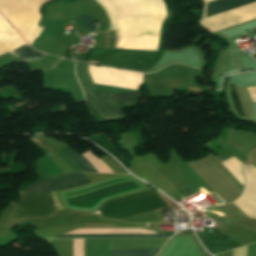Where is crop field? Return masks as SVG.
<instances>
[{"label":"crop field","instance_id":"8a807250","mask_svg":"<svg viewBox=\"0 0 256 256\" xmlns=\"http://www.w3.org/2000/svg\"><path fill=\"white\" fill-rule=\"evenodd\" d=\"M110 28L117 30L116 48L155 50L165 12L160 0H96Z\"/></svg>","mask_w":256,"mask_h":256},{"label":"crop field","instance_id":"ac0d7876","mask_svg":"<svg viewBox=\"0 0 256 256\" xmlns=\"http://www.w3.org/2000/svg\"><path fill=\"white\" fill-rule=\"evenodd\" d=\"M164 206H167L165 201L151 189L112 200L103 204L95 213L106 218L120 219Z\"/></svg>","mask_w":256,"mask_h":256},{"label":"crop field","instance_id":"34b2d1b8","mask_svg":"<svg viewBox=\"0 0 256 256\" xmlns=\"http://www.w3.org/2000/svg\"><path fill=\"white\" fill-rule=\"evenodd\" d=\"M19 205L11 215L12 218L22 216H43L61 210L54 192L47 194L19 192Z\"/></svg>","mask_w":256,"mask_h":256},{"label":"crop field","instance_id":"412701ff","mask_svg":"<svg viewBox=\"0 0 256 256\" xmlns=\"http://www.w3.org/2000/svg\"><path fill=\"white\" fill-rule=\"evenodd\" d=\"M93 83L138 89L143 74L88 65Z\"/></svg>","mask_w":256,"mask_h":256},{"label":"crop field","instance_id":"f4fd0767","mask_svg":"<svg viewBox=\"0 0 256 256\" xmlns=\"http://www.w3.org/2000/svg\"><path fill=\"white\" fill-rule=\"evenodd\" d=\"M90 183L83 173L65 174L53 178H42L25 188L24 191L44 193L55 188L70 189L79 185Z\"/></svg>","mask_w":256,"mask_h":256},{"label":"crop field","instance_id":"dd49c442","mask_svg":"<svg viewBox=\"0 0 256 256\" xmlns=\"http://www.w3.org/2000/svg\"><path fill=\"white\" fill-rule=\"evenodd\" d=\"M243 173L246 179L244 193L234 204L248 217L256 218V168L244 165Z\"/></svg>","mask_w":256,"mask_h":256},{"label":"crop field","instance_id":"e52e79f7","mask_svg":"<svg viewBox=\"0 0 256 256\" xmlns=\"http://www.w3.org/2000/svg\"><path fill=\"white\" fill-rule=\"evenodd\" d=\"M85 94V99L87 104L93 109V111L102 119H113L125 116L123 112L104 94L100 92H95V95L101 100V102L112 112H111L100 102V100L93 94L92 91L83 90Z\"/></svg>","mask_w":256,"mask_h":256},{"label":"crop field","instance_id":"d8731c3e","mask_svg":"<svg viewBox=\"0 0 256 256\" xmlns=\"http://www.w3.org/2000/svg\"><path fill=\"white\" fill-rule=\"evenodd\" d=\"M255 1L256 0H214L207 3L206 17Z\"/></svg>","mask_w":256,"mask_h":256},{"label":"crop field","instance_id":"5a996713","mask_svg":"<svg viewBox=\"0 0 256 256\" xmlns=\"http://www.w3.org/2000/svg\"><path fill=\"white\" fill-rule=\"evenodd\" d=\"M61 151L83 172L98 173L95 168L80 154L74 151L69 145Z\"/></svg>","mask_w":256,"mask_h":256},{"label":"crop field","instance_id":"3316defc","mask_svg":"<svg viewBox=\"0 0 256 256\" xmlns=\"http://www.w3.org/2000/svg\"><path fill=\"white\" fill-rule=\"evenodd\" d=\"M126 237H166L164 234H113V235H61L56 238H126Z\"/></svg>","mask_w":256,"mask_h":256},{"label":"crop field","instance_id":"28ad6ade","mask_svg":"<svg viewBox=\"0 0 256 256\" xmlns=\"http://www.w3.org/2000/svg\"><path fill=\"white\" fill-rule=\"evenodd\" d=\"M17 60L31 61L37 56V52L33 51L26 43L22 42L14 49L8 51Z\"/></svg>","mask_w":256,"mask_h":256},{"label":"crop field","instance_id":"d1516ede","mask_svg":"<svg viewBox=\"0 0 256 256\" xmlns=\"http://www.w3.org/2000/svg\"><path fill=\"white\" fill-rule=\"evenodd\" d=\"M160 249L110 250V256H155Z\"/></svg>","mask_w":256,"mask_h":256},{"label":"crop field","instance_id":"22f410ed","mask_svg":"<svg viewBox=\"0 0 256 256\" xmlns=\"http://www.w3.org/2000/svg\"><path fill=\"white\" fill-rule=\"evenodd\" d=\"M108 97L114 101L117 105L126 103L129 101L140 99V91L110 94Z\"/></svg>","mask_w":256,"mask_h":256},{"label":"crop field","instance_id":"cbeb9de0","mask_svg":"<svg viewBox=\"0 0 256 256\" xmlns=\"http://www.w3.org/2000/svg\"><path fill=\"white\" fill-rule=\"evenodd\" d=\"M80 19L83 25L85 26L88 34H90L93 30L97 29L95 25L92 23L95 22V20L88 13L80 16Z\"/></svg>","mask_w":256,"mask_h":256},{"label":"crop field","instance_id":"5142ce71","mask_svg":"<svg viewBox=\"0 0 256 256\" xmlns=\"http://www.w3.org/2000/svg\"><path fill=\"white\" fill-rule=\"evenodd\" d=\"M230 93H231L232 102L234 104V107H235L236 111L240 115H245L243 110H242L239 98H238V96H237V94H236V92L234 90V85H232V84H230Z\"/></svg>","mask_w":256,"mask_h":256}]
</instances>
